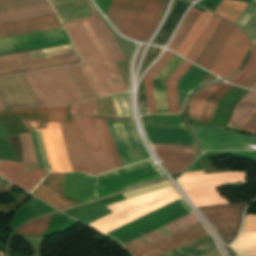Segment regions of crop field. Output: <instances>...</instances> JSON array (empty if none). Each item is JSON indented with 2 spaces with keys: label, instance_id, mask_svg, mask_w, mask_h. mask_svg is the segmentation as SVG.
<instances>
[{
  "label": "crop field",
  "instance_id": "14",
  "mask_svg": "<svg viewBox=\"0 0 256 256\" xmlns=\"http://www.w3.org/2000/svg\"><path fill=\"white\" fill-rule=\"evenodd\" d=\"M62 31L67 40H64L65 37H64ZM62 31H61V29H58V30L41 32V33H35V34L1 39L0 40V51L12 49V48L29 46V45L47 43V42H52V41H58V40H64V41H58V42H52V43H47V44H41V45L29 46V47L12 49V50H7V51H1L0 55L12 54V53H17V52L41 49V48L64 45V44H70L71 41L68 38L64 28H62Z\"/></svg>",
  "mask_w": 256,
  "mask_h": 256
},
{
  "label": "crop field",
  "instance_id": "3",
  "mask_svg": "<svg viewBox=\"0 0 256 256\" xmlns=\"http://www.w3.org/2000/svg\"><path fill=\"white\" fill-rule=\"evenodd\" d=\"M164 5L165 0H112L106 15L125 35L146 41Z\"/></svg>",
  "mask_w": 256,
  "mask_h": 256
},
{
  "label": "crop field",
  "instance_id": "48",
  "mask_svg": "<svg viewBox=\"0 0 256 256\" xmlns=\"http://www.w3.org/2000/svg\"><path fill=\"white\" fill-rule=\"evenodd\" d=\"M71 115H96V108L94 100L81 102L75 104L70 109Z\"/></svg>",
  "mask_w": 256,
  "mask_h": 256
},
{
  "label": "crop field",
  "instance_id": "32",
  "mask_svg": "<svg viewBox=\"0 0 256 256\" xmlns=\"http://www.w3.org/2000/svg\"><path fill=\"white\" fill-rule=\"evenodd\" d=\"M215 247L208 235L165 256H199Z\"/></svg>",
  "mask_w": 256,
  "mask_h": 256
},
{
  "label": "crop field",
  "instance_id": "12",
  "mask_svg": "<svg viewBox=\"0 0 256 256\" xmlns=\"http://www.w3.org/2000/svg\"><path fill=\"white\" fill-rule=\"evenodd\" d=\"M107 120H132V119L124 118V119H107ZM107 122L109 124L110 130L112 132L113 138L115 140L116 146L118 148L119 154L121 156V159L124 165L135 162L136 160L137 162L141 160H145L150 157L149 154L144 149L142 143L138 139L137 132L135 130V127L132 121H122V122L125 127L127 136L129 138L130 144L132 146L136 160L133 155V152L129 144L128 138L126 136L122 122L121 121H107Z\"/></svg>",
  "mask_w": 256,
  "mask_h": 256
},
{
  "label": "crop field",
  "instance_id": "39",
  "mask_svg": "<svg viewBox=\"0 0 256 256\" xmlns=\"http://www.w3.org/2000/svg\"><path fill=\"white\" fill-rule=\"evenodd\" d=\"M233 247L241 256H256V232H242Z\"/></svg>",
  "mask_w": 256,
  "mask_h": 256
},
{
  "label": "crop field",
  "instance_id": "4",
  "mask_svg": "<svg viewBox=\"0 0 256 256\" xmlns=\"http://www.w3.org/2000/svg\"><path fill=\"white\" fill-rule=\"evenodd\" d=\"M181 198L171 187L107 205L113 212L98 219L89 226L103 234Z\"/></svg>",
  "mask_w": 256,
  "mask_h": 256
},
{
  "label": "crop field",
  "instance_id": "34",
  "mask_svg": "<svg viewBox=\"0 0 256 256\" xmlns=\"http://www.w3.org/2000/svg\"><path fill=\"white\" fill-rule=\"evenodd\" d=\"M53 13L54 11L51 5L15 10V11H8V12H1L0 23L12 21V20L30 18L35 16L53 14Z\"/></svg>",
  "mask_w": 256,
  "mask_h": 256
},
{
  "label": "crop field",
  "instance_id": "37",
  "mask_svg": "<svg viewBox=\"0 0 256 256\" xmlns=\"http://www.w3.org/2000/svg\"><path fill=\"white\" fill-rule=\"evenodd\" d=\"M256 105V92H248L235 106L228 127L234 128L241 119Z\"/></svg>",
  "mask_w": 256,
  "mask_h": 256
},
{
  "label": "crop field",
  "instance_id": "40",
  "mask_svg": "<svg viewBox=\"0 0 256 256\" xmlns=\"http://www.w3.org/2000/svg\"><path fill=\"white\" fill-rule=\"evenodd\" d=\"M219 21H220V18L213 15L210 22L208 23V25L204 29L203 33L201 34V36L197 40L196 44L194 45V47L192 48V50L190 51V53H189V55L187 56L186 59H188V60H190L191 62L194 63L195 59L199 55L200 51L202 50L203 46L207 42L208 38L212 34L213 30L215 29V27L217 26Z\"/></svg>",
  "mask_w": 256,
  "mask_h": 256
},
{
  "label": "crop field",
  "instance_id": "35",
  "mask_svg": "<svg viewBox=\"0 0 256 256\" xmlns=\"http://www.w3.org/2000/svg\"><path fill=\"white\" fill-rule=\"evenodd\" d=\"M199 14H200V11L193 7L188 11L182 24L180 25L178 31L176 32L174 38L172 39L169 45V48L171 51L176 53L177 49L181 45L182 41L186 37L187 33L189 32L190 28L194 24Z\"/></svg>",
  "mask_w": 256,
  "mask_h": 256
},
{
  "label": "crop field",
  "instance_id": "5",
  "mask_svg": "<svg viewBox=\"0 0 256 256\" xmlns=\"http://www.w3.org/2000/svg\"><path fill=\"white\" fill-rule=\"evenodd\" d=\"M40 106L84 100L65 67L24 75Z\"/></svg>",
  "mask_w": 256,
  "mask_h": 256
},
{
  "label": "crop field",
  "instance_id": "21",
  "mask_svg": "<svg viewBox=\"0 0 256 256\" xmlns=\"http://www.w3.org/2000/svg\"><path fill=\"white\" fill-rule=\"evenodd\" d=\"M64 173H50L32 194L57 209H65L78 205L62 197Z\"/></svg>",
  "mask_w": 256,
  "mask_h": 256
},
{
  "label": "crop field",
  "instance_id": "17",
  "mask_svg": "<svg viewBox=\"0 0 256 256\" xmlns=\"http://www.w3.org/2000/svg\"><path fill=\"white\" fill-rule=\"evenodd\" d=\"M0 96L7 109L38 106L22 75L0 78Z\"/></svg>",
  "mask_w": 256,
  "mask_h": 256
},
{
  "label": "crop field",
  "instance_id": "9",
  "mask_svg": "<svg viewBox=\"0 0 256 256\" xmlns=\"http://www.w3.org/2000/svg\"><path fill=\"white\" fill-rule=\"evenodd\" d=\"M192 126L198 139L199 150H247V144H256L252 136L223 128Z\"/></svg>",
  "mask_w": 256,
  "mask_h": 256
},
{
  "label": "crop field",
  "instance_id": "10",
  "mask_svg": "<svg viewBox=\"0 0 256 256\" xmlns=\"http://www.w3.org/2000/svg\"><path fill=\"white\" fill-rule=\"evenodd\" d=\"M79 57L73 44L0 57V71Z\"/></svg>",
  "mask_w": 256,
  "mask_h": 256
},
{
  "label": "crop field",
  "instance_id": "6",
  "mask_svg": "<svg viewBox=\"0 0 256 256\" xmlns=\"http://www.w3.org/2000/svg\"><path fill=\"white\" fill-rule=\"evenodd\" d=\"M189 213L190 209L180 199L106 235L123 246Z\"/></svg>",
  "mask_w": 256,
  "mask_h": 256
},
{
  "label": "crop field",
  "instance_id": "59",
  "mask_svg": "<svg viewBox=\"0 0 256 256\" xmlns=\"http://www.w3.org/2000/svg\"><path fill=\"white\" fill-rule=\"evenodd\" d=\"M200 174H204V172L203 171H199V172L185 173L182 177H184V176H192V175H200Z\"/></svg>",
  "mask_w": 256,
  "mask_h": 256
},
{
  "label": "crop field",
  "instance_id": "58",
  "mask_svg": "<svg viewBox=\"0 0 256 256\" xmlns=\"http://www.w3.org/2000/svg\"><path fill=\"white\" fill-rule=\"evenodd\" d=\"M10 114H14L12 109L0 112V117H4V116L10 115Z\"/></svg>",
  "mask_w": 256,
  "mask_h": 256
},
{
  "label": "crop field",
  "instance_id": "28",
  "mask_svg": "<svg viewBox=\"0 0 256 256\" xmlns=\"http://www.w3.org/2000/svg\"><path fill=\"white\" fill-rule=\"evenodd\" d=\"M93 26L95 27L98 35L100 36L103 44L105 45L108 53L113 61L124 60L120 50L118 49L114 39L112 38L108 28L101 21L98 15L94 13L89 17Z\"/></svg>",
  "mask_w": 256,
  "mask_h": 256
},
{
  "label": "crop field",
  "instance_id": "51",
  "mask_svg": "<svg viewBox=\"0 0 256 256\" xmlns=\"http://www.w3.org/2000/svg\"><path fill=\"white\" fill-rule=\"evenodd\" d=\"M25 136H26V142H27V146H28L29 163L38 166L35 152H34V149L32 147V143H31L30 132L26 133Z\"/></svg>",
  "mask_w": 256,
  "mask_h": 256
},
{
  "label": "crop field",
  "instance_id": "23",
  "mask_svg": "<svg viewBox=\"0 0 256 256\" xmlns=\"http://www.w3.org/2000/svg\"><path fill=\"white\" fill-rule=\"evenodd\" d=\"M70 105L64 106H49V107H34V108H19L13 109L21 120L30 121H66L68 122L71 116L69 115Z\"/></svg>",
  "mask_w": 256,
  "mask_h": 256
},
{
  "label": "crop field",
  "instance_id": "18",
  "mask_svg": "<svg viewBox=\"0 0 256 256\" xmlns=\"http://www.w3.org/2000/svg\"><path fill=\"white\" fill-rule=\"evenodd\" d=\"M82 127L86 142L91 152L97 173L112 170L110 160L96 126L95 120L90 116H77Z\"/></svg>",
  "mask_w": 256,
  "mask_h": 256
},
{
  "label": "crop field",
  "instance_id": "1",
  "mask_svg": "<svg viewBox=\"0 0 256 256\" xmlns=\"http://www.w3.org/2000/svg\"><path fill=\"white\" fill-rule=\"evenodd\" d=\"M63 26L85 63L80 67L96 97L128 90L89 18Z\"/></svg>",
  "mask_w": 256,
  "mask_h": 256
},
{
  "label": "crop field",
  "instance_id": "29",
  "mask_svg": "<svg viewBox=\"0 0 256 256\" xmlns=\"http://www.w3.org/2000/svg\"><path fill=\"white\" fill-rule=\"evenodd\" d=\"M212 15L213 14H211V13H209L207 11L206 12H202L200 14V16L196 20L195 24L191 28L190 32L188 33L187 37L183 41L182 45L178 49L177 54H179V55H181V56L186 58V56L188 55L189 51L191 50V48L195 44L196 40L198 39V37L202 33L203 29L205 28V26L209 22V20L212 17Z\"/></svg>",
  "mask_w": 256,
  "mask_h": 256
},
{
  "label": "crop field",
  "instance_id": "55",
  "mask_svg": "<svg viewBox=\"0 0 256 256\" xmlns=\"http://www.w3.org/2000/svg\"><path fill=\"white\" fill-rule=\"evenodd\" d=\"M255 114L256 106L245 116V118L235 127V129L241 130Z\"/></svg>",
  "mask_w": 256,
  "mask_h": 256
},
{
  "label": "crop field",
  "instance_id": "27",
  "mask_svg": "<svg viewBox=\"0 0 256 256\" xmlns=\"http://www.w3.org/2000/svg\"><path fill=\"white\" fill-rule=\"evenodd\" d=\"M192 65L184 60L166 81L169 113H179L176 84Z\"/></svg>",
  "mask_w": 256,
  "mask_h": 256
},
{
  "label": "crop field",
  "instance_id": "33",
  "mask_svg": "<svg viewBox=\"0 0 256 256\" xmlns=\"http://www.w3.org/2000/svg\"><path fill=\"white\" fill-rule=\"evenodd\" d=\"M173 56L174 54L166 51L163 58L144 77L149 113H156L152 81Z\"/></svg>",
  "mask_w": 256,
  "mask_h": 256
},
{
  "label": "crop field",
  "instance_id": "52",
  "mask_svg": "<svg viewBox=\"0 0 256 256\" xmlns=\"http://www.w3.org/2000/svg\"><path fill=\"white\" fill-rule=\"evenodd\" d=\"M255 79H256V64L251 69V71L247 74L244 80L241 82L240 86L249 88Z\"/></svg>",
  "mask_w": 256,
  "mask_h": 256
},
{
  "label": "crop field",
  "instance_id": "61",
  "mask_svg": "<svg viewBox=\"0 0 256 256\" xmlns=\"http://www.w3.org/2000/svg\"><path fill=\"white\" fill-rule=\"evenodd\" d=\"M250 89H251V90H256V81L254 82V84L251 86Z\"/></svg>",
  "mask_w": 256,
  "mask_h": 256
},
{
  "label": "crop field",
  "instance_id": "19",
  "mask_svg": "<svg viewBox=\"0 0 256 256\" xmlns=\"http://www.w3.org/2000/svg\"><path fill=\"white\" fill-rule=\"evenodd\" d=\"M47 171L23 163L5 161L0 166V176L30 192Z\"/></svg>",
  "mask_w": 256,
  "mask_h": 256
},
{
  "label": "crop field",
  "instance_id": "16",
  "mask_svg": "<svg viewBox=\"0 0 256 256\" xmlns=\"http://www.w3.org/2000/svg\"><path fill=\"white\" fill-rule=\"evenodd\" d=\"M150 142L195 145L190 131L184 124H166L142 121Z\"/></svg>",
  "mask_w": 256,
  "mask_h": 256
},
{
  "label": "crop field",
  "instance_id": "24",
  "mask_svg": "<svg viewBox=\"0 0 256 256\" xmlns=\"http://www.w3.org/2000/svg\"><path fill=\"white\" fill-rule=\"evenodd\" d=\"M235 27L236 26H234L233 24L223 20V22L211 38L210 42L196 61V64L209 70Z\"/></svg>",
  "mask_w": 256,
  "mask_h": 256
},
{
  "label": "crop field",
  "instance_id": "13",
  "mask_svg": "<svg viewBox=\"0 0 256 256\" xmlns=\"http://www.w3.org/2000/svg\"><path fill=\"white\" fill-rule=\"evenodd\" d=\"M249 50V42L237 27L209 71L224 78L237 71Z\"/></svg>",
  "mask_w": 256,
  "mask_h": 256
},
{
  "label": "crop field",
  "instance_id": "44",
  "mask_svg": "<svg viewBox=\"0 0 256 256\" xmlns=\"http://www.w3.org/2000/svg\"><path fill=\"white\" fill-rule=\"evenodd\" d=\"M46 0H0V11L46 5Z\"/></svg>",
  "mask_w": 256,
  "mask_h": 256
},
{
  "label": "crop field",
  "instance_id": "11",
  "mask_svg": "<svg viewBox=\"0 0 256 256\" xmlns=\"http://www.w3.org/2000/svg\"><path fill=\"white\" fill-rule=\"evenodd\" d=\"M247 203L199 208L217 230L223 242L230 245L241 224L242 209Z\"/></svg>",
  "mask_w": 256,
  "mask_h": 256
},
{
  "label": "crop field",
  "instance_id": "60",
  "mask_svg": "<svg viewBox=\"0 0 256 256\" xmlns=\"http://www.w3.org/2000/svg\"><path fill=\"white\" fill-rule=\"evenodd\" d=\"M1 110H5V107H4L3 103H2V101L0 100V111Z\"/></svg>",
  "mask_w": 256,
  "mask_h": 256
},
{
  "label": "crop field",
  "instance_id": "30",
  "mask_svg": "<svg viewBox=\"0 0 256 256\" xmlns=\"http://www.w3.org/2000/svg\"><path fill=\"white\" fill-rule=\"evenodd\" d=\"M233 87L230 84H221L206 100L201 115L198 119L200 123H210L218 102Z\"/></svg>",
  "mask_w": 256,
  "mask_h": 256
},
{
  "label": "crop field",
  "instance_id": "45",
  "mask_svg": "<svg viewBox=\"0 0 256 256\" xmlns=\"http://www.w3.org/2000/svg\"><path fill=\"white\" fill-rule=\"evenodd\" d=\"M51 216L30 222L17 230V234L38 235L48 230V222Z\"/></svg>",
  "mask_w": 256,
  "mask_h": 256
},
{
  "label": "crop field",
  "instance_id": "54",
  "mask_svg": "<svg viewBox=\"0 0 256 256\" xmlns=\"http://www.w3.org/2000/svg\"><path fill=\"white\" fill-rule=\"evenodd\" d=\"M36 134H37V139H38V143H39V147H40V152H41L43 163L45 165V168L47 170H50L48 162H47L46 153H45V149H44V145H43V141H42V136H41L40 130L36 131Z\"/></svg>",
  "mask_w": 256,
  "mask_h": 256
},
{
  "label": "crop field",
  "instance_id": "47",
  "mask_svg": "<svg viewBox=\"0 0 256 256\" xmlns=\"http://www.w3.org/2000/svg\"><path fill=\"white\" fill-rule=\"evenodd\" d=\"M114 104L117 117H130L131 110L128 100V92L114 95Z\"/></svg>",
  "mask_w": 256,
  "mask_h": 256
},
{
  "label": "crop field",
  "instance_id": "46",
  "mask_svg": "<svg viewBox=\"0 0 256 256\" xmlns=\"http://www.w3.org/2000/svg\"><path fill=\"white\" fill-rule=\"evenodd\" d=\"M71 73L73 74L75 80L77 81L78 85L80 86L82 92L84 93L86 99L94 98L95 95L89 86L85 76L83 75L79 65L69 66Z\"/></svg>",
  "mask_w": 256,
  "mask_h": 256
},
{
  "label": "crop field",
  "instance_id": "56",
  "mask_svg": "<svg viewBox=\"0 0 256 256\" xmlns=\"http://www.w3.org/2000/svg\"><path fill=\"white\" fill-rule=\"evenodd\" d=\"M242 130L256 134V115Z\"/></svg>",
  "mask_w": 256,
  "mask_h": 256
},
{
  "label": "crop field",
  "instance_id": "2",
  "mask_svg": "<svg viewBox=\"0 0 256 256\" xmlns=\"http://www.w3.org/2000/svg\"><path fill=\"white\" fill-rule=\"evenodd\" d=\"M22 122L31 132L41 128L49 165L52 171H72L67 155L68 151L74 171L91 174L93 176L97 175L76 116L72 117L69 124L59 122L67 151L58 122H39L40 128L37 122Z\"/></svg>",
  "mask_w": 256,
  "mask_h": 256
},
{
  "label": "crop field",
  "instance_id": "31",
  "mask_svg": "<svg viewBox=\"0 0 256 256\" xmlns=\"http://www.w3.org/2000/svg\"><path fill=\"white\" fill-rule=\"evenodd\" d=\"M207 73L208 72L194 65L180 80L178 85L180 104H183L188 92L193 90Z\"/></svg>",
  "mask_w": 256,
  "mask_h": 256
},
{
  "label": "crop field",
  "instance_id": "50",
  "mask_svg": "<svg viewBox=\"0 0 256 256\" xmlns=\"http://www.w3.org/2000/svg\"><path fill=\"white\" fill-rule=\"evenodd\" d=\"M170 185L171 184L168 182V180H166V181L159 182V183H156L153 185H149V186H146V187H143L140 189H136V190H133L130 192L123 193V195L126 199H128V198L135 197V196L147 193V192H151V191L163 188V187L170 186Z\"/></svg>",
  "mask_w": 256,
  "mask_h": 256
},
{
  "label": "crop field",
  "instance_id": "26",
  "mask_svg": "<svg viewBox=\"0 0 256 256\" xmlns=\"http://www.w3.org/2000/svg\"><path fill=\"white\" fill-rule=\"evenodd\" d=\"M184 59L174 56L153 81L157 113H168L165 81Z\"/></svg>",
  "mask_w": 256,
  "mask_h": 256
},
{
  "label": "crop field",
  "instance_id": "43",
  "mask_svg": "<svg viewBox=\"0 0 256 256\" xmlns=\"http://www.w3.org/2000/svg\"><path fill=\"white\" fill-rule=\"evenodd\" d=\"M81 62H82L81 59L77 58V59L65 60V61H60V62L42 64V65H37V66L25 67V68H20V69L2 71V72H0V77L21 74V73H26V72H32V71H37V70H43V69L59 67V66H64V65L77 64V63H81Z\"/></svg>",
  "mask_w": 256,
  "mask_h": 256
},
{
  "label": "crop field",
  "instance_id": "42",
  "mask_svg": "<svg viewBox=\"0 0 256 256\" xmlns=\"http://www.w3.org/2000/svg\"><path fill=\"white\" fill-rule=\"evenodd\" d=\"M219 83H215L204 88L196 96L192 98L189 103V116L198 118L201 112V109L204 105L206 98L219 86Z\"/></svg>",
  "mask_w": 256,
  "mask_h": 256
},
{
  "label": "crop field",
  "instance_id": "49",
  "mask_svg": "<svg viewBox=\"0 0 256 256\" xmlns=\"http://www.w3.org/2000/svg\"><path fill=\"white\" fill-rule=\"evenodd\" d=\"M255 63H256V43H255V45L253 46V53H252V56H251V59H250L248 65L243 68L242 72L240 71L241 73L238 72V73L235 74L234 76H232V77H230V78H228V79H225V81L234 84L235 80L237 79V77H238V75H239V73H240L238 79H237L236 82H235L236 85H239L240 82L243 80V78L246 76V74L250 71V69L253 67V65H254Z\"/></svg>",
  "mask_w": 256,
  "mask_h": 256
},
{
  "label": "crop field",
  "instance_id": "53",
  "mask_svg": "<svg viewBox=\"0 0 256 256\" xmlns=\"http://www.w3.org/2000/svg\"><path fill=\"white\" fill-rule=\"evenodd\" d=\"M242 231H256V215H247Z\"/></svg>",
  "mask_w": 256,
  "mask_h": 256
},
{
  "label": "crop field",
  "instance_id": "36",
  "mask_svg": "<svg viewBox=\"0 0 256 256\" xmlns=\"http://www.w3.org/2000/svg\"><path fill=\"white\" fill-rule=\"evenodd\" d=\"M235 24L247 32L253 45L256 42V0H252Z\"/></svg>",
  "mask_w": 256,
  "mask_h": 256
},
{
  "label": "crop field",
  "instance_id": "20",
  "mask_svg": "<svg viewBox=\"0 0 256 256\" xmlns=\"http://www.w3.org/2000/svg\"><path fill=\"white\" fill-rule=\"evenodd\" d=\"M56 14L0 24V38L61 28Z\"/></svg>",
  "mask_w": 256,
  "mask_h": 256
},
{
  "label": "crop field",
  "instance_id": "57",
  "mask_svg": "<svg viewBox=\"0 0 256 256\" xmlns=\"http://www.w3.org/2000/svg\"><path fill=\"white\" fill-rule=\"evenodd\" d=\"M21 145H22V154H23V162L28 163V154H27V147L25 142V136L24 134L19 135Z\"/></svg>",
  "mask_w": 256,
  "mask_h": 256
},
{
  "label": "crop field",
  "instance_id": "25",
  "mask_svg": "<svg viewBox=\"0 0 256 256\" xmlns=\"http://www.w3.org/2000/svg\"><path fill=\"white\" fill-rule=\"evenodd\" d=\"M197 221L196 217L193 215V213L167 225L164 226L144 237H141L125 246H123L126 250H128L130 253L164 237L167 236L193 222Z\"/></svg>",
  "mask_w": 256,
  "mask_h": 256
},
{
  "label": "crop field",
  "instance_id": "7",
  "mask_svg": "<svg viewBox=\"0 0 256 256\" xmlns=\"http://www.w3.org/2000/svg\"><path fill=\"white\" fill-rule=\"evenodd\" d=\"M140 163V162H139ZM155 167L152 160L136 164L112 173H108L95 178L94 187ZM164 177L163 173L157 167L95 187L93 200L99 197L111 195L119 191L134 187L136 185Z\"/></svg>",
  "mask_w": 256,
  "mask_h": 256
},
{
  "label": "crop field",
  "instance_id": "22",
  "mask_svg": "<svg viewBox=\"0 0 256 256\" xmlns=\"http://www.w3.org/2000/svg\"><path fill=\"white\" fill-rule=\"evenodd\" d=\"M154 151L195 153V147L151 144ZM170 174L186 167L194 154L155 152Z\"/></svg>",
  "mask_w": 256,
  "mask_h": 256
},
{
  "label": "crop field",
  "instance_id": "38",
  "mask_svg": "<svg viewBox=\"0 0 256 256\" xmlns=\"http://www.w3.org/2000/svg\"><path fill=\"white\" fill-rule=\"evenodd\" d=\"M99 128L100 134L102 136L103 142L105 144L106 150L108 152L109 158L111 160L113 168L121 167V162L119 160L118 154L116 152L114 143L112 141L110 132L108 130L107 124L104 118L94 117Z\"/></svg>",
  "mask_w": 256,
  "mask_h": 256
},
{
  "label": "crop field",
  "instance_id": "15",
  "mask_svg": "<svg viewBox=\"0 0 256 256\" xmlns=\"http://www.w3.org/2000/svg\"><path fill=\"white\" fill-rule=\"evenodd\" d=\"M207 234L206 230L199 221L162 238L134 253V256H162L174 249H177L203 235Z\"/></svg>",
  "mask_w": 256,
  "mask_h": 256
},
{
  "label": "crop field",
  "instance_id": "8",
  "mask_svg": "<svg viewBox=\"0 0 256 256\" xmlns=\"http://www.w3.org/2000/svg\"><path fill=\"white\" fill-rule=\"evenodd\" d=\"M246 172H226L192 177L180 178L179 182L183 188L198 187L220 183L245 182ZM222 185V184H220ZM220 185H212L198 188L185 189L186 193L193 200L197 207L225 204L226 200L221 199L215 190Z\"/></svg>",
  "mask_w": 256,
  "mask_h": 256
},
{
  "label": "crop field",
  "instance_id": "41",
  "mask_svg": "<svg viewBox=\"0 0 256 256\" xmlns=\"http://www.w3.org/2000/svg\"><path fill=\"white\" fill-rule=\"evenodd\" d=\"M246 5V3L223 0L214 12L234 22Z\"/></svg>",
  "mask_w": 256,
  "mask_h": 256
},
{
  "label": "crop field",
  "instance_id": "62",
  "mask_svg": "<svg viewBox=\"0 0 256 256\" xmlns=\"http://www.w3.org/2000/svg\"><path fill=\"white\" fill-rule=\"evenodd\" d=\"M4 161L0 160V165L3 163Z\"/></svg>",
  "mask_w": 256,
  "mask_h": 256
}]
</instances>
